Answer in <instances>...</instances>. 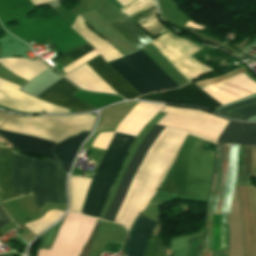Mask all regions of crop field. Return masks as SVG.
I'll return each mask as SVG.
<instances>
[{"mask_svg": "<svg viewBox=\"0 0 256 256\" xmlns=\"http://www.w3.org/2000/svg\"><path fill=\"white\" fill-rule=\"evenodd\" d=\"M164 129L165 127L155 125L149 131L131 159L104 219L115 222ZM187 133L208 140L192 132L166 127L116 223L123 224L126 229L131 227L136 215L145 208L148 200L167 180L174 158Z\"/></svg>", "mask_w": 256, "mask_h": 256, "instance_id": "crop-field-1", "label": "crop field"}, {"mask_svg": "<svg viewBox=\"0 0 256 256\" xmlns=\"http://www.w3.org/2000/svg\"><path fill=\"white\" fill-rule=\"evenodd\" d=\"M0 146V200L30 193L32 158ZM16 177V189H15ZM66 174L52 161L34 159L31 192L38 209L50 203L66 204Z\"/></svg>", "mask_w": 256, "mask_h": 256, "instance_id": "crop-field-2", "label": "crop field"}, {"mask_svg": "<svg viewBox=\"0 0 256 256\" xmlns=\"http://www.w3.org/2000/svg\"><path fill=\"white\" fill-rule=\"evenodd\" d=\"M202 144L188 135L160 191L206 199L213 153L198 151Z\"/></svg>", "mask_w": 256, "mask_h": 256, "instance_id": "crop-field-3", "label": "crop field"}, {"mask_svg": "<svg viewBox=\"0 0 256 256\" xmlns=\"http://www.w3.org/2000/svg\"><path fill=\"white\" fill-rule=\"evenodd\" d=\"M133 139L134 137L120 133H116L113 140L111 139L112 142L92 180L81 213L98 218Z\"/></svg>", "mask_w": 256, "mask_h": 256, "instance_id": "crop-field-4", "label": "crop field"}, {"mask_svg": "<svg viewBox=\"0 0 256 256\" xmlns=\"http://www.w3.org/2000/svg\"><path fill=\"white\" fill-rule=\"evenodd\" d=\"M108 64L140 95L179 87L142 50Z\"/></svg>", "mask_w": 256, "mask_h": 256, "instance_id": "crop-field-5", "label": "crop field"}, {"mask_svg": "<svg viewBox=\"0 0 256 256\" xmlns=\"http://www.w3.org/2000/svg\"><path fill=\"white\" fill-rule=\"evenodd\" d=\"M96 219L67 213L50 250L40 249L37 256H78Z\"/></svg>", "mask_w": 256, "mask_h": 256, "instance_id": "crop-field-6", "label": "crop field"}, {"mask_svg": "<svg viewBox=\"0 0 256 256\" xmlns=\"http://www.w3.org/2000/svg\"><path fill=\"white\" fill-rule=\"evenodd\" d=\"M94 50L88 43L66 52L59 61L63 67ZM102 57H97L87 64L118 94L125 99H135L139 94L127 84Z\"/></svg>", "mask_w": 256, "mask_h": 256, "instance_id": "crop-field-7", "label": "crop field"}, {"mask_svg": "<svg viewBox=\"0 0 256 256\" xmlns=\"http://www.w3.org/2000/svg\"><path fill=\"white\" fill-rule=\"evenodd\" d=\"M156 222L139 215L130 231L126 245V256H142L147 240ZM144 256H162L161 246L150 243L147 245Z\"/></svg>", "mask_w": 256, "mask_h": 256, "instance_id": "crop-field-8", "label": "crop field"}, {"mask_svg": "<svg viewBox=\"0 0 256 256\" xmlns=\"http://www.w3.org/2000/svg\"><path fill=\"white\" fill-rule=\"evenodd\" d=\"M138 99L176 101L191 104H200L210 107L214 111L217 110L215 108L222 106L193 83H189L178 89L168 90L166 94H146L144 96L139 97Z\"/></svg>", "mask_w": 256, "mask_h": 256, "instance_id": "crop-field-9", "label": "crop field"}, {"mask_svg": "<svg viewBox=\"0 0 256 256\" xmlns=\"http://www.w3.org/2000/svg\"><path fill=\"white\" fill-rule=\"evenodd\" d=\"M77 91L79 90L62 78L60 81L47 88L44 92L37 96V98L62 108L78 112L95 109L94 107L72 97V94L76 93Z\"/></svg>", "mask_w": 256, "mask_h": 256, "instance_id": "crop-field-10", "label": "crop field"}, {"mask_svg": "<svg viewBox=\"0 0 256 256\" xmlns=\"http://www.w3.org/2000/svg\"><path fill=\"white\" fill-rule=\"evenodd\" d=\"M0 135L13 144L17 150L23 153L43 156L57 162L52 156V147L55 145V143L51 141L1 130ZM57 164L59 165L58 162Z\"/></svg>", "mask_w": 256, "mask_h": 256, "instance_id": "crop-field-11", "label": "crop field"}, {"mask_svg": "<svg viewBox=\"0 0 256 256\" xmlns=\"http://www.w3.org/2000/svg\"><path fill=\"white\" fill-rule=\"evenodd\" d=\"M217 142L248 144L256 147V124L228 122Z\"/></svg>", "mask_w": 256, "mask_h": 256, "instance_id": "crop-field-12", "label": "crop field"}, {"mask_svg": "<svg viewBox=\"0 0 256 256\" xmlns=\"http://www.w3.org/2000/svg\"><path fill=\"white\" fill-rule=\"evenodd\" d=\"M87 134L88 132H80L77 136L71 137L53 147V155L55 159L60 163V167L66 172H68L75 153Z\"/></svg>", "mask_w": 256, "mask_h": 256, "instance_id": "crop-field-13", "label": "crop field"}, {"mask_svg": "<svg viewBox=\"0 0 256 256\" xmlns=\"http://www.w3.org/2000/svg\"><path fill=\"white\" fill-rule=\"evenodd\" d=\"M138 50L145 48V44L153 40L139 29L127 17L110 25Z\"/></svg>", "mask_w": 256, "mask_h": 256, "instance_id": "crop-field-14", "label": "crop field"}, {"mask_svg": "<svg viewBox=\"0 0 256 256\" xmlns=\"http://www.w3.org/2000/svg\"><path fill=\"white\" fill-rule=\"evenodd\" d=\"M216 112L230 119L248 121L250 117L256 115V97L221 108Z\"/></svg>", "mask_w": 256, "mask_h": 256, "instance_id": "crop-field-15", "label": "crop field"}, {"mask_svg": "<svg viewBox=\"0 0 256 256\" xmlns=\"http://www.w3.org/2000/svg\"><path fill=\"white\" fill-rule=\"evenodd\" d=\"M62 214L63 213L60 211L51 210L47 212L46 215L41 219L25 224V226L28 227L31 231H33L37 235L42 229L56 222Z\"/></svg>", "mask_w": 256, "mask_h": 256, "instance_id": "crop-field-16", "label": "crop field"}, {"mask_svg": "<svg viewBox=\"0 0 256 256\" xmlns=\"http://www.w3.org/2000/svg\"><path fill=\"white\" fill-rule=\"evenodd\" d=\"M219 222H220L219 250L228 251L229 228L228 226H224L222 215H219Z\"/></svg>", "mask_w": 256, "mask_h": 256, "instance_id": "crop-field-17", "label": "crop field"}, {"mask_svg": "<svg viewBox=\"0 0 256 256\" xmlns=\"http://www.w3.org/2000/svg\"><path fill=\"white\" fill-rule=\"evenodd\" d=\"M12 222L9 216L0 208V227Z\"/></svg>", "mask_w": 256, "mask_h": 256, "instance_id": "crop-field-18", "label": "crop field"}, {"mask_svg": "<svg viewBox=\"0 0 256 256\" xmlns=\"http://www.w3.org/2000/svg\"><path fill=\"white\" fill-rule=\"evenodd\" d=\"M1 256H7V255H1Z\"/></svg>", "mask_w": 256, "mask_h": 256, "instance_id": "crop-field-19", "label": "crop field"}]
</instances>
